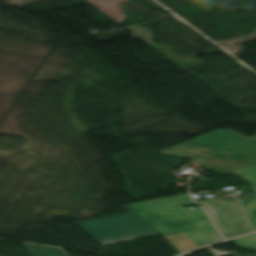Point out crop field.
I'll return each mask as SVG.
<instances>
[{
  "mask_svg": "<svg viewBox=\"0 0 256 256\" xmlns=\"http://www.w3.org/2000/svg\"><path fill=\"white\" fill-rule=\"evenodd\" d=\"M193 202L187 194L129 206L145 217L182 253L223 240L202 208L188 211L180 206Z\"/></svg>",
  "mask_w": 256,
  "mask_h": 256,
  "instance_id": "8a807250",
  "label": "crop field"
},
{
  "mask_svg": "<svg viewBox=\"0 0 256 256\" xmlns=\"http://www.w3.org/2000/svg\"><path fill=\"white\" fill-rule=\"evenodd\" d=\"M125 208L131 213L78 222L77 225L102 244L158 234L144 219Z\"/></svg>",
  "mask_w": 256,
  "mask_h": 256,
  "instance_id": "ac0d7876",
  "label": "crop field"
},
{
  "mask_svg": "<svg viewBox=\"0 0 256 256\" xmlns=\"http://www.w3.org/2000/svg\"><path fill=\"white\" fill-rule=\"evenodd\" d=\"M225 238L251 232L237 201L200 204Z\"/></svg>",
  "mask_w": 256,
  "mask_h": 256,
  "instance_id": "34b2d1b8",
  "label": "crop field"
},
{
  "mask_svg": "<svg viewBox=\"0 0 256 256\" xmlns=\"http://www.w3.org/2000/svg\"><path fill=\"white\" fill-rule=\"evenodd\" d=\"M240 201L246 211L250 223L254 230H256V197L254 193L245 194Z\"/></svg>",
  "mask_w": 256,
  "mask_h": 256,
  "instance_id": "412701ff",
  "label": "crop field"
},
{
  "mask_svg": "<svg viewBox=\"0 0 256 256\" xmlns=\"http://www.w3.org/2000/svg\"><path fill=\"white\" fill-rule=\"evenodd\" d=\"M24 247L29 251V253L32 256H48L47 253L43 250L41 246L38 245H31V244H24ZM46 251L51 255V256H68V254L63 250L59 248H52V247H45L43 246Z\"/></svg>",
  "mask_w": 256,
  "mask_h": 256,
  "instance_id": "f4fd0767",
  "label": "crop field"
},
{
  "mask_svg": "<svg viewBox=\"0 0 256 256\" xmlns=\"http://www.w3.org/2000/svg\"><path fill=\"white\" fill-rule=\"evenodd\" d=\"M251 184H256V165L233 172Z\"/></svg>",
  "mask_w": 256,
  "mask_h": 256,
  "instance_id": "dd49c442",
  "label": "crop field"
},
{
  "mask_svg": "<svg viewBox=\"0 0 256 256\" xmlns=\"http://www.w3.org/2000/svg\"><path fill=\"white\" fill-rule=\"evenodd\" d=\"M234 242L243 248L256 249V234H252L243 238L235 239Z\"/></svg>",
  "mask_w": 256,
  "mask_h": 256,
  "instance_id": "e52e79f7",
  "label": "crop field"
},
{
  "mask_svg": "<svg viewBox=\"0 0 256 256\" xmlns=\"http://www.w3.org/2000/svg\"><path fill=\"white\" fill-rule=\"evenodd\" d=\"M219 201H224L221 198L218 199H212V200H206V201H200L199 203H206V202H219Z\"/></svg>",
  "mask_w": 256,
  "mask_h": 256,
  "instance_id": "d8731c3e",
  "label": "crop field"
},
{
  "mask_svg": "<svg viewBox=\"0 0 256 256\" xmlns=\"http://www.w3.org/2000/svg\"><path fill=\"white\" fill-rule=\"evenodd\" d=\"M255 191V195H256V185H252Z\"/></svg>",
  "mask_w": 256,
  "mask_h": 256,
  "instance_id": "5a996713",
  "label": "crop field"
}]
</instances>
